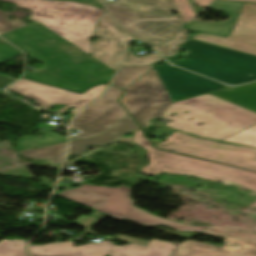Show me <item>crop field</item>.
I'll return each mask as SVG.
<instances>
[{"label": "crop field", "instance_id": "8a807250", "mask_svg": "<svg viewBox=\"0 0 256 256\" xmlns=\"http://www.w3.org/2000/svg\"><path fill=\"white\" fill-rule=\"evenodd\" d=\"M1 1L30 9L29 19L39 22L4 34L7 41L48 66L27 72L25 78L75 92L109 83L115 71L89 55V37L104 9L72 1ZM69 42L74 45H68Z\"/></svg>", "mask_w": 256, "mask_h": 256}, {"label": "crop field", "instance_id": "ac0d7876", "mask_svg": "<svg viewBox=\"0 0 256 256\" xmlns=\"http://www.w3.org/2000/svg\"><path fill=\"white\" fill-rule=\"evenodd\" d=\"M174 112H177L175 116H169ZM178 115L182 121L166 126L218 141L256 123L255 112L210 94L171 103L161 118L170 120ZM190 117L193 119L189 121ZM199 122L204 124L196 126Z\"/></svg>", "mask_w": 256, "mask_h": 256}, {"label": "crop field", "instance_id": "34b2d1b8", "mask_svg": "<svg viewBox=\"0 0 256 256\" xmlns=\"http://www.w3.org/2000/svg\"><path fill=\"white\" fill-rule=\"evenodd\" d=\"M182 49L184 59L172 64L228 85L256 80V56L195 40H187Z\"/></svg>", "mask_w": 256, "mask_h": 256}, {"label": "crop field", "instance_id": "412701ff", "mask_svg": "<svg viewBox=\"0 0 256 256\" xmlns=\"http://www.w3.org/2000/svg\"><path fill=\"white\" fill-rule=\"evenodd\" d=\"M105 5L130 36L146 40L153 47L184 25L179 15L169 14L175 10L171 0H121Z\"/></svg>", "mask_w": 256, "mask_h": 256}, {"label": "crop field", "instance_id": "f4fd0767", "mask_svg": "<svg viewBox=\"0 0 256 256\" xmlns=\"http://www.w3.org/2000/svg\"><path fill=\"white\" fill-rule=\"evenodd\" d=\"M134 143L148 149L149 152L151 163L141 171L154 175L162 171L194 175L242 185L256 191V173L254 172L155 149L144 137L142 130L135 132Z\"/></svg>", "mask_w": 256, "mask_h": 256}, {"label": "crop field", "instance_id": "dd49c442", "mask_svg": "<svg viewBox=\"0 0 256 256\" xmlns=\"http://www.w3.org/2000/svg\"><path fill=\"white\" fill-rule=\"evenodd\" d=\"M60 194L112 217L120 220L130 219L147 227L163 224L178 231L196 232L210 227L180 224L135 208L134 201L130 198V188L126 186L111 188L83 184L79 188L65 190Z\"/></svg>", "mask_w": 256, "mask_h": 256}, {"label": "crop field", "instance_id": "e52e79f7", "mask_svg": "<svg viewBox=\"0 0 256 256\" xmlns=\"http://www.w3.org/2000/svg\"><path fill=\"white\" fill-rule=\"evenodd\" d=\"M159 148L256 171V149L199 140L175 131Z\"/></svg>", "mask_w": 256, "mask_h": 256}, {"label": "crop field", "instance_id": "d8731c3e", "mask_svg": "<svg viewBox=\"0 0 256 256\" xmlns=\"http://www.w3.org/2000/svg\"><path fill=\"white\" fill-rule=\"evenodd\" d=\"M176 247L168 241L154 239L147 247L115 246L106 240L74 247L73 242L30 246L32 256H170Z\"/></svg>", "mask_w": 256, "mask_h": 256}, {"label": "crop field", "instance_id": "5a996713", "mask_svg": "<svg viewBox=\"0 0 256 256\" xmlns=\"http://www.w3.org/2000/svg\"><path fill=\"white\" fill-rule=\"evenodd\" d=\"M124 90L126 93L120 102L140 126L149 124L151 118L160 117L172 102L155 69Z\"/></svg>", "mask_w": 256, "mask_h": 256}, {"label": "crop field", "instance_id": "3316defc", "mask_svg": "<svg viewBox=\"0 0 256 256\" xmlns=\"http://www.w3.org/2000/svg\"><path fill=\"white\" fill-rule=\"evenodd\" d=\"M23 79L11 85L8 89L36 100L37 104L44 106L43 110L54 104H67L58 112L62 113L67 108L73 107L75 109L71 111L72 115L98 97L107 87L106 85L94 87L81 95Z\"/></svg>", "mask_w": 256, "mask_h": 256}, {"label": "crop field", "instance_id": "28ad6ade", "mask_svg": "<svg viewBox=\"0 0 256 256\" xmlns=\"http://www.w3.org/2000/svg\"><path fill=\"white\" fill-rule=\"evenodd\" d=\"M122 92L111 86L103 97L83 110L71 124L72 128L80 130L72 138L95 136L126 115L127 112L116 101Z\"/></svg>", "mask_w": 256, "mask_h": 256}, {"label": "crop field", "instance_id": "d1516ede", "mask_svg": "<svg viewBox=\"0 0 256 256\" xmlns=\"http://www.w3.org/2000/svg\"><path fill=\"white\" fill-rule=\"evenodd\" d=\"M192 39L256 55V3H245L227 38L199 33Z\"/></svg>", "mask_w": 256, "mask_h": 256}, {"label": "crop field", "instance_id": "22f410ed", "mask_svg": "<svg viewBox=\"0 0 256 256\" xmlns=\"http://www.w3.org/2000/svg\"><path fill=\"white\" fill-rule=\"evenodd\" d=\"M172 101L184 97L226 88L227 86L204 79L169 64L155 68Z\"/></svg>", "mask_w": 256, "mask_h": 256}, {"label": "crop field", "instance_id": "cbeb9de0", "mask_svg": "<svg viewBox=\"0 0 256 256\" xmlns=\"http://www.w3.org/2000/svg\"><path fill=\"white\" fill-rule=\"evenodd\" d=\"M93 37L99 38L92 45L93 56L116 70L126 45V36L106 11L99 19Z\"/></svg>", "mask_w": 256, "mask_h": 256}, {"label": "crop field", "instance_id": "5142ce71", "mask_svg": "<svg viewBox=\"0 0 256 256\" xmlns=\"http://www.w3.org/2000/svg\"><path fill=\"white\" fill-rule=\"evenodd\" d=\"M202 233L238 238L256 240V229L252 228H228L212 226ZM180 246V245H179ZM222 248L208 246L206 244L187 241L180 247L176 248L171 256H229ZM250 256H256V253H251Z\"/></svg>", "mask_w": 256, "mask_h": 256}, {"label": "crop field", "instance_id": "d9b57169", "mask_svg": "<svg viewBox=\"0 0 256 256\" xmlns=\"http://www.w3.org/2000/svg\"><path fill=\"white\" fill-rule=\"evenodd\" d=\"M242 3L243 2L216 0L209 8L228 13L230 15L229 20L213 23L193 21V23L189 25L187 29L226 36L236 19Z\"/></svg>", "mask_w": 256, "mask_h": 256}, {"label": "crop field", "instance_id": "733c2abd", "mask_svg": "<svg viewBox=\"0 0 256 256\" xmlns=\"http://www.w3.org/2000/svg\"><path fill=\"white\" fill-rule=\"evenodd\" d=\"M135 128H138V126L131 119V117L127 115L111 129L107 130L106 132L100 134L97 137L72 140L70 143L69 154H83V151L87 145H103L111 143L120 135Z\"/></svg>", "mask_w": 256, "mask_h": 256}, {"label": "crop field", "instance_id": "4a817a6b", "mask_svg": "<svg viewBox=\"0 0 256 256\" xmlns=\"http://www.w3.org/2000/svg\"><path fill=\"white\" fill-rule=\"evenodd\" d=\"M210 94L256 112V82Z\"/></svg>", "mask_w": 256, "mask_h": 256}, {"label": "crop field", "instance_id": "bc2a9ffb", "mask_svg": "<svg viewBox=\"0 0 256 256\" xmlns=\"http://www.w3.org/2000/svg\"><path fill=\"white\" fill-rule=\"evenodd\" d=\"M66 143L67 141L42 149L22 151L21 154L32 159H51V163H62Z\"/></svg>", "mask_w": 256, "mask_h": 256}, {"label": "crop field", "instance_id": "214f88e0", "mask_svg": "<svg viewBox=\"0 0 256 256\" xmlns=\"http://www.w3.org/2000/svg\"><path fill=\"white\" fill-rule=\"evenodd\" d=\"M39 132L41 133L42 138H34V137L21 138L18 142L19 150L20 151L27 150L34 146H38V147L50 146V145L67 140L65 137H61L60 135L54 134L50 131L46 132L43 130H39ZM27 138L29 140H26ZM23 140H26L27 142H23ZM33 142H36L37 144H33ZM22 143L26 144V146H21Z\"/></svg>", "mask_w": 256, "mask_h": 256}, {"label": "crop field", "instance_id": "92a150f3", "mask_svg": "<svg viewBox=\"0 0 256 256\" xmlns=\"http://www.w3.org/2000/svg\"><path fill=\"white\" fill-rule=\"evenodd\" d=\"M152 68L150 66H134V67H120L119 72L112 85L117 86L121 89L125 88L135 79L140 77L146 71Z\"/></svg>", "mask_w": 256, "mask_h": 256}, {"label": "crop field", "instance_id": "dafd665d", "mask_svg": "<svg viewBox=\"0 0 256 256\" xmlns=\"http://www.w3.org/2000/svg\"><path fill=\"white\" fill-rule=\"evenodd\" d=\"M0 256H27L25 241H21V240L0 241Z\"/></svg>", "mask_w": 256, "mask_h": 256}, {"label": "crop field", "instance_id": "00972430", "mask_svg": "<svg viewBox=\"0 0 256 256\" xmlns=\"http://www.w3.org/2000/svg\"><path fill=\"white\" fill-rule=\"evenodd\" d=\"M184 23H187L195 16L187 0H172ZM197 6L206 7L212 0H194Z\"/></svg>", "mask_w": 256, "mask_h": 256}, {"label": "crop field", "instance_id": "a9b5d70f", "mask_svg": "<svg viewBox=\"0 0 256 256\" xmlns=\"http://www.w3.org/2000/svg\"><path fill=\"white\" fill-rule=\"evenodd\" d=\"M189 37L187 29L183 28L172 40L166 45L157 48L164 56H173L178 53L180 44Z\"/></svg>", "mask_w": 256, "mask_h": 256}, {"label": "crop field", "instance_id": "4177f3b9", "mask_svg": "<svg viewBox=\"0 0 256 256\" xmlns=\"http://www.w3.org/2000/svg\"><path fill=\"white\" fill-rule=\"evenodd\" d=\"M225 142L239 143L256 147V125L224 140Z\"/></svg>", "mask_w": 256, "mask_h": 256}, {"label": "crop field", "instance_id": "730fd06b", "mask_svg": "<svg viewBox=\"0 0 256 256\" xmlns=\"http://www.w3.org/2000/svg\"><path fill=\"white\" fill-rule=\"evenodd\" d=\"M163 58L160 57L158 54H150L142 57L135 58L128 50L125 53L124 59L122 61L121 66H134V65H149L155 62L162 60ZM129 61L128 63H125Z\"/></svg>", "mask_w": 256, "mask_h": 256}, {"label": "crop field", "instance_id": "eef30255", "mask_svg": "<svg viewBox=\"0 0 256 256\" xmlns=\"http://www.w3.org/2000/svg\"><path fill=\"white\" fill-rule=\"evenodd\" d=\"M9 15L10 14L0 10V35L26 26L24 23L20 22L17 19L14 21L10 20L9 18H7Z\"/></svg>", "mask_w": 256, "mask_h": 256}, {"label": "crop field", "instance_id": "ae1a2a85", "mask_svg": "<svg viewBox=\"0 0 256 256\" xmlns=\"http://www.w3.org/2000/svg\"><path fill=\"white\" fill-rule=\"evenodd\" d=\"M226 238V237H224ZM236 244L242 245V249L239 251H229L225 250L226 252L232 253L231 255H238V256H249L251 252H256V244L255 241H248V240H238L232 238H226Z\"/></svg>", "mask_w": 256, "mask_h": 256}, {"label": "crop field", "instance_id": "d3111659", "mask_svg": "<svg viewBox=\"0 0 256 256\" xmlns=\"http://www.w3.org/2000/svg\"><path fill=\"white\" fill-rule=\"evenodd\" d=\"M22 54L17 48L0 39V64Z\"/></svg>", "mask_w": 256, "mask_h": 256}, {"label": "crop field", "instance_id": "750c4746", "mask_svg": "<svg viewBox=\"0 0 256 256\" xmlns=\"http://www.w3.org/2000/svg\"><path fill=\"white\" fill-rule=\"evenodd\" d=\"M118 239L123 240V241H128V242L138 244V245H144V246H146L148 243V241L135 239V238L127 237V236H120Z\"/></svg>", "mask_w": 256, "mask_h": 256}, {"label": "crop field", "instance_id": "bd1437ed", "mask_svg": "<svg viewBox=\"0 0 256 256\" xmlns=\"http://www.w3.org/2000/svg\"><path fill=\"white\" fill-rule=\"evenodd\" d=\"M79 221L78 223L79 224H81V225H83V226H87V225H89L93 220H95V218H93V217H90V216H85V215H81L79 218H77L76 220H75V222L76 221ZM88 227V226H87Z\"/></svg>", "mask_w": 256, "mask_h": 256}, {"label": "crop field", "instance_id": "1d83c4d3", "mask_svg": "<svg viewBox=\"0 0 256 256\" xmlns=\"http://www.w3.org/2000/svg\"><path fill=\"white\" fill-rule=\"evenodd\" d=\"M118 142H126V143H133V137H127V138H120L117 140Z\"/></svg>", "mask_w": 256, "mask_h": 256}, {"label": "crop field", "instance_id": "120bbe31", "mask_svg": "<svg viewBox=\"0 0 256 256\" xmlns=\"http://www.w3.org/2000/svg\"><path fill=\"white\" fill-rule=\"evenodd\" d=\"M39 180L45 182L46 184L50 185V186H53L52 184L48 183V179L46 177H43V178H39Z\"/></svg>", "mask_w": 256, "mask_h": 256}, {"label": "crop field", "instance_id": "d32e631a", "mask_svg": "<svg viewBox=\"0 0 256 256\" xmlns=\"http://www.w3.org/2000/svg\"><path fill=\"white\" fill-rule=\"evenodd\" d=\"M172 121H180L179 116H178V117H176V118H174V119H172Z\"/></svg>", "mask_w": 256, "mask_h": 256}, {"label": "crop field", "instance_id": "5866460e", "mask_svg": "<svg viewBox=\"0 0 256 256\" xmlns=\"http://www.w3.org/2000/svg\"><path fill=\"white\" fill-rule=\"evenodd\" d=\"M238 1H254V2H256V0H238Z\"/></svg>", "mask_w": 256, "mask_h": 256}]
</instances>
